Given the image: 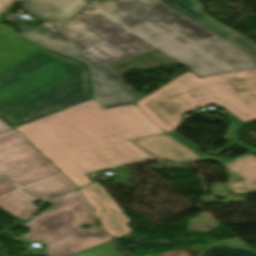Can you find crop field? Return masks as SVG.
<instances>
[{
    "instance_id": "d9b57169",
    "label": "crop field",
    "mask_w": 256,
    "mask_h": 256,
    "mask_svg": "<svg viewBox=\"0 0 256 256\" xmlns=\"http://www.w3.org/2000/svg\"><path fill=\"white\" fill-rule=\"evenodd\" d=\"M227 118H229L231 120V124L230 127L227 131V134L225 136V140L233 143L234 145L248 151V152H252V151H256V148H253L251 146H248L244 143H242L241 141H239L238 139H236V135L239 133V131L241 130L244 122L241 121L240 119H238L237 117H235L234 115H229L227 116Z\"/></svg>"
},
{
    "instance_id": "28ad6ade",
    "label": "crop field",
    "mask_w": 256,
    "mask_h": 256,
    "mask_svg": "<svg viewBox=\"0 0 256 256\" xmlns=\"http://www.w3.org/2000/svg\"><path fill=\"white\" fill-rule=\"evenodd\" d=\"M112 240L111 236L100 225L47 245L44 251L48 256H71L99 244Z\"/></svg>"
},
{
    "instance_id": "cbeb9de0",
    "label": "crop field",
    "mask_w": 256,
    "mask_h": 256,
    "mask_svg": "<svg viewBox=\"0 0 256 256\" xmlns=\"http://www.w3.org/2000/svg\"><path fill=\"white\" fill-rule=\"evenodd\" d=\"M37 200V198L17 188L0 195V208L20 220H25L38 209L33 205V202Z\"/></svg>"
},
{
    "instance_id": "d8731c3e",
    "label": "crop field",
    "mask_w": 256,
    "mask_h": 256,
    "mask_svg": "<svg viewBox=\"0 0 256 256\" xmlns=\"http://www.w3.org/2000/svg\"><path fill=\"white\" fill-rule=\"evenodd\" d=\"M89 203L96 209L94 217L102 223V228L115 238L132 232L127 226L128 218L101 187L99 183L81 189Z\"/></svg>"
},
{
    "instance_id": "92a150f3",
    "label": "crop field",
    "mask_w": 256,
    "mask_h": 256,
    "mask_svg": "<svg viewBox=\"0 0 256 256\" xmlns=\"http://www.w3.org/2000/svg\"><path fill=\"white\" fill-rule=\"evenodd\" d=\"M15 188H17V187L14 186L13 184L9 183L8 181H6L4 179L0 180V194L6 193Z\"/></svg>"
},
{
    "instance_id": "00972430",
    "label": "crop field",
    "mask_w": 256,
    "mask_h": 256,
    "mask_svg": "<svg viewBox=\"0 0 256 256\" xmlns=\"http://www.w3.org/2000/svg\"><path fill=\"white\" fill-rule=\"evenodd\" d=\"M253 154H255V155H256V152H253Z\"/></svg>"
},
{
    "instance_id": "5142ce71",
    "label": "crop field",
    "mask_w": 256,
    "mask_h": 256,
    "mask_svg": "<svg viewBox=\"0 0 256 256\" xmlns=\"http://www.w3.org/2000/svg\"><path fill=\"white\" fill-rule=\"evenodd\" d=\"M116 240H117V248H118L119 252L125 256H130L126 252V250H128L130 248L139 247L141 249H144V248H150V247L169 244L168 241H166V240H160V241H154V242H148V243H140V242H137L136 239L130 234L125 235L120 238H117Z\"/></svg>"
},
{
    "instance_id": "dd49c442",
    "label": "crop field",
    "mask_w": 256,
    "mask_h": 256,
    "mask_svg": "<svg viewBox=\"0 0 256 256\" xmlns=\"http://www.w3.org/2000/svg\"><path fill=\"white\" fill-rule=\"evenodd\" d=\"M48 203L53 208L33 217L25 226L31 231L19 238L48 244L84 231L81 227L95 222L92 208L78 190L53 199Z\"/></svg>"
},
{
    "instance_id": "ac0d7876",
    "label": "crop field",
    "mask_w": 256,
    "mask_h": 256,
    "mask_svg": "<svg viewBox=\"0 0 256 256\" xmlns=\"http://www.w3.org/2000/svg\"><path fill=\"white\" fill-rule=\"evenodd\" d=\"M17 130L79 187L87 174L151 157L130 140L164 132L135 104L104 110L95 99Z\"/></svg>"
},
{
    "instance_id": "e52e79f7",
    "label": "crop field",
    "mask_w": 256,
    "mask_h": 256,
    "mask_svg": "<svg viewBox=\"0 0 256 256\" xmlns=\"http://www.w3.org/2000/svg\"><path fill=\"white\" fill-rule=\"evenodd\" d=\"M105 0H94L91 3L97 4ZM174 10L183 14L184 16L194 20L203 25L214 33L220 35L241 49L247 51L256 57V43L216 21L205 13L201 12L203 7L197 0H161Z\"/></svg>"
},
{
    "instance_id": "a9b5d70f",
    "label": "crop field",
    "mask_w": 256,
    "mask_h": 256,
    "mask_svg": "<svg viewBox=\"0 0 256 256\" xmlns=\"http://www.w3.org/2000/svg\"><path fill=\"white\" fill-rule=\"evenodd\" d=\"M86 1H88V2H89L90 0H86Z\"/></svg>"
},
{
    "instance_id": "bc2a9ffb",
    "label": "crop field",
    "mask_w": 256,
    "mask_h": 256,
    "mask_svg": "<svg viewBox=\"0 0 256 256\" xmlns=\"http://www.w3.org/2000/svg\"><path fill=\"white\" fill-rule=\"evenodd\" d=\"M167 135L203 159H214V160H218L220 163L231 159V158H225V157L204 155L203 153L198 151L197 146H195L194 144H192L191 142H189L188 140H186L184 137H182L176 132L172 134H167Z\"/></svg>"
},
{
    "instance_id": "214f88e0",
    "label": "crop field",
    "mask_w": 256,
    "mask_h": 256,
    "mask_svg": "<svg viewBox=\"0 0 256 256\" xmlns=\"http://www.w3.org/2000/svg\"><path fill=\"white\" fill-rule=\"evenodd\" d=\"M14 4L15 2H12L10 0H0V22L14 6Z\"/></svg>"
},
{
    "instance_id": "8a807250",
    "label": "crop field",
    "mask_w": 256,
    "mask_h": 256,
    "mask_svg": "<svg viewBox=\"0 0 256 256\" xmlns=\"http://www.w3.org/2000/svg\"><path fill=\"white\" fill-rule=\"evenodd\" d=\"M23 29L39 44L90 64L96 99L104 108L142 97L120 79L128 70L178 62L206 77L256 68V58L160 0H108L88 5L67 22Z\"/></svg>"
},
{
    "instance_id": "730fd06b",
    "label": "crop field",
    "mask_w": 256,
    "mask_h": 256,
    "mask_svg": "<svg viewBox=\"0 0 256 256\" xmlns=\"http://www.w3.org/2000/svg\"><path fill=\"white\" fill-rule=\"evenodd\" d=\"M1 178V177H0Z\"/></svg>"
},
{
    "instance_id": "4177f3b9",
    "label": "crop field",
    "mask_w": 256,
    "mask_h": 256,
    "mask_svg": "<svg viewBox=\"0 0 256 256\" xmlns=\"http://www.w3.org/2000/svg\"><path fill=\"white\" fill-rule=\"evenodd\" d=\"M17 1H20V0H17Z\"/></svg>"
},
{
    "instance_id": "22f410ed",
    "label": "crop field",
    "mask_w": 256,
    "mask_h": 256,
    "mask_svg": "<svg viewBox=\"0 0 256 256\" xmlns=\"http://www.w3.org/2000/svg\"><path fill=\"white\" fill-rule=\"evenodd\" d=\"M134 142L143 149L160 158L178 162L202 160L200 157L166 135L143 138L141 140H135Z\"/></svg>"
},
{
    "instance_id": "34b2d1b8",
    "label": "crop field",
    "mask_w": 256,
    "mask_h": 256,
    "mask_svg": "<svg viewBox=\"0 0 256 256\" xmlns=\"http://www.w3.org/2000/svg\"><path fill=\"white\" fill-rule=\"evenodd\" d=\"M92 98L87 64L47 48L0 73V118L15 128Z\"/></svg>"
},
{
    "instance_id": "412701ff",
    "label": "crop field",
    "mask_w": 256,
    "mask_h": 256,
    "mask_svg": "<svg viewBox=\"0 0 256 256\" xmlns=\"http://www.w3.org/2000/svg\"><path fill=\"white\" fill-rule=\"evenodd\" d=\"M212 103L246 123L255 120L256 69L202 79L187 72L136 105L167 132L183 121V114Z\"/></svg>"
},
{
    "instance_id": "4a817a6b",
    "label": "crop field",
    "mask_w": 256,
    "mask_h": 256,
    "mask_svg": "<svg viewBox=\"0 0 256 256\" xmlns=\"http://www.w3.org/2000/svg\"><path fill=\"white\" fill-rule=\"evenodd\" d=\"M74 256H121L115 249V242L112 240Z\"/></svg>"
},
{
    "instance_id": "733c2abd",
    "label": "crop field",
    "mask_w": 256,
    "mask_h": 256,
    "mask_svg": "<svg viewBox=\"0 0 256 256\" xmlns=\"http://www.w3.org/2000/svg\"><path fill=\"white\" fill-rule=\"evenodd\" d=\"M201 256H256V252L243 249L228 248L218 244L204 250Z\"/></svg>"
},
{
    "instance_id": "5a996713",
    "label": "crop field",
    "mask_w": 256,
    "mask_h": 256,
    "mask_svg": "<svg viewBox=\"0 0 256 256\" xmlns=\"http://www.w3.org/2000/svg\"><path fill=\"white\" fill-rule=\"evenodd\" d=\"M23 36L0 24V72L44 48Z\"/></svg>"
},
{
    "instance_id": "f4fd0767",
    "label": "crop field",
    "mask_w": 256,
    "mask_h": 256,
    "mask_svg": "<svg viewBox=\"0 0 256 256\" xmlns=\"http://www.w3.org/2000/svg\"><path fill=\"white\" fill-rule=\"evenodd\" d=\"M0 174L42 200L76 189L14 129L0 134Z\"/></svg>"
},
{
    "instance_id": "3316defc",
    "label": "crop field",
    "mask_w": 256,
    "mask_h": 256,
    "mask_svg": "<svg viewBox=\"0 0 256 256\" xmlns=\"http://www.w3.org/2000/svg\"><path fill=\"white\" fill-rule=\"evenodd\" d=\"M229 180L225 186L234 195L256 192V156L248 153L222 163Z\"/></svg>"
},
{
    "instance_id": "dafd665d",
    "label": "crop field",
    "mask_w": 256,
    "mask_h": 256,
    "mask_svg": "<svg viewBox=\"0 0 256 256\" xmlns=\"http://www.w3.org/2000/svg\"><path fill=\"white\" fill-rule=\"evenodd\" d=\"M10 129H12V128L9 125H7L5 122L0 120V133L8 131Z\"/></svg>"
},
{
    "instance_id": "d1516ede",
    "label": "crop field",
    "mask_w": 256,
    "mask_h": 256,
    "mask_svg": "<svg viewBox=\"0 0 256 256\" xmlns=\"http://www.w3.org/2000/svg\"><path fill=\"white\" fill-rule=\"evenodd\" d=\"M24 9L42 21L71 18L85 4V0H21Z\"/></svg>"
}]
</instances>
